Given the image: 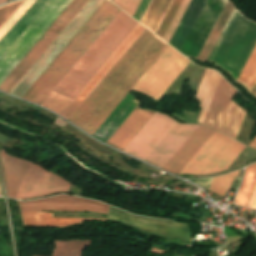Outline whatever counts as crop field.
<instances>
[{
    "label": "crop field",
    "instance_id": "dafd665d",
    "mask_svg": "<svg viewBox=\"0 0 256 256\" xmlns=\"http://www.w3.org/2000/svg\"><path fill=\"white\" fill-rule=\"evenodd\" d=\"M190 1L191 0H174L163 19L156 34L168 43L178 25L177 23L180 22Z\"/></svg>",
    "mask_w": 256,
    "mask_h": 256
},
{
    "label": "crop field",
    "instance_id": "4177f3b9",
    "mask_svg": "<svg viewBox=\"0 0 256 256\" xmlns=\"http://www.w3.org/2000/svg\"><path fill=\"white\" fill-rule=\"evenodd\" d=\"M233 7H234L233 4L228 0L222 13L219 16L214 28L212 29L206 43L204 44V46L198 56V59L206 61L212 47H213L214 43L216 42L223 26L225 25Z\"/></svg>",
    "mask_w": 256,
    "mask_h": 256
},
{
    "label": "crop field",
    "instance_id": "e1f06a70",
    "mask_svg": "<svg viewBox=\"0 0 256 256\" xmlns=\"http://www.w3.org/2000/svg\"><path fill=\"white\" fill-rule=\"evenodd\" d=\"M5 1H8V0H0V3H1V2H5Z\"/></svg>",
    "mask_w": 256,
    "mask_h": 256
},
{
    "label": "crop field",
    "instance_id": "0bd39190",
    "mask_svg": "<svg viewBox=\"0 0 256 256\" xmlns=\"http://www.w3.org/2000/svg\"><path fill=\"white\" fill-rule=\"evenodd\" d=\"M0 196H1V194H0Z\"/></svg>",
    "mask_w": 256,
    "mask_h": 256
},
{
    "label": "crop field",
    "instance_id": "92a150f3",
    "mask_svg": "<svg viewBox=\"0 0 256 256\" xmlns=\"http://www.w3.org/2000/svg\"><path fill=\"white\" fill-rule=\"evenodd\" d=\"M49 0H37L23 17L13 26V28L0 41V58L14 40L33 21V19L48 4Z\"/></svg>",
    "mask_w": 256,
    "mask_h": 256
},
{
    "label": "crop field",
    "instance_id": "733c2abd",
    "mask_svg": "<svg viewBox=\"0 0 256 256\" xmlns=\"http://www.w3.org/2000/svg\"><path fill=\"white\" fill-rule=\"evenodd\" d=\"M137 107L131 112V114L125 119L120 127L108 139L106 144L122 151L124 147L129 143V141L135 136V134L141 129V127L154 113L152 111L137 109Z\"/></svg>",
    "mask_w": 256,
    "mask_h": 256
},
{
    "label": "crop field",
    "instance_id": "730fd06b",
    "mask_svg": "<svg viewBox=\"0 0 256 256\" xmlns=\"http://www.w3.org/2000/svg\"><path fill=\"white\" fill-rule=\"evenodd\" d=\"M256 187V163L247 167L243 183L239 189L235 203L248 206Z\"/></svg>",
    "mask_w": 256,
    "mask_h": 256
},
{
    "label": "crop field",
    "instance_id": "28ad6ade",
    "mask_svg": "<svg viewBox=\"0 0 256 256\" xmlns=\"http://www.w3.org/2000/svg\"><path fill=\"white\" fill-rule=\"evenodd\" d=\"M108 221L120 223L142 234L162 238L180 239L191 243V232L186 223L169 222L132 216L110 207Z\"/></svg>",
    "mask_w": 256,
    "mask_h": 256
},
{
    "label": "crop field",
    "instance_id": "d1516ede",
    "mask_svg": "<svg viewBox=\"0 0 256 256\" xmlns=\"http://www.w3.org/2000/svg\"><path fill=\"white\" fill-rule=\"evenodd\" d=\"M177 122L155 112L123 152L146 160Z\"/></svg>",
    "mask_w": 256,
    "mask_h": 256
},
{
    "label": "crop field",
    "instance_id": "a9b5d70f",
    "mask_svg": "<svg viewBox=\"0 0 256 256\" xmlns=\"http://www.w3.org/2000/svg\"><path fill=\"white\" fill-rule=\"evenodd\" d=\"M172 1L152 0L140 23L156 33Z\"/></svg>",
    "mask_w": 256,
    "mask_h": 256
},
{
    "label": "crop field",
    "instance_id": "5142ce71",
    "mask_svg": "<svg viewBox=\"0 0 256 256\" xmlns=\"http://www.w3.org/2000/svg\"><path fill=\"white\" fill-rule=\"evenodd\" d=\"M198 126L197 124L177 123L146 162L162 169Z\"/></svg>",
    "mask_w": 256,
    "mask_h": 256
},
{
    "label": "crop field",
    "instance_id": "1d83c4d3",
    "mask_svg": "<svg viewBox=\"0 0 256 256\" xmlns=\"http://www.w3.org/2000/svg\"><path fill=\"white\" fill-rule=\"evenodd\" d=\"M112 2L133 17L141 0H114Z\"/></svg>",
    "mask_w": 256,
    "mask_h": 256
},
{
    "label": "crop field",
    "instance_id": "ac0d7876",
    "mask_svg": "<svg viewBox=\"0 0 256 256\" xmlns=\"http://www.w3.org/2000/svg\"><path fill=\"white\" fill-rule=\"evenodd\" d=\"M138 23L121 10L53 92L74 99ZM51 92L41 106L62 114L72 99Z\"/></svg>",
    "mask_w": 256,
    "mask_h": 256
},
{
    "label": "crop field",
    "instance_id": "214f88e0",
    "mask_svg": "<svg viewBox=\"0 0 256 256\" xmlns=\"http://www.w3.org/2000/svg\"><path fill=\"white\" fill-rule=\"evenodd\" d=\"M25 226L32 227H63L83 222L84 219L101 220L102 218H53L49 212H22Z\"/></svg>",
    "mask_w": 256,
    "mask_h": 256
},
{
    "label": "crop field",
    "instance_id": "5a996713",
    "mask_svg": "<svg viewBox=\"0 0 256 256\" xmlns=\"http://www.w3.org/2000/svg\"><path fill=\"white\" fill-rule=\"evenodd\" d=\"M228 84L220 77L203 124L235 139L246 111L231 101L236 90Z\"/></svg>",
    "mask_w": 256,
    "mask_h": 256
},
{
    "label": "crop field",
    "instance_id": "bd1437ed",
    "mask_svg": "<svg viewBox=\"0 0 256 256\" xmlns=\"http://www.w3.org/2000/svg\"><path fill=\"white\" fill-rule=\"evenodd\" d=\"M25 0L9 3L3 7H0V27L5 23V21L18 9V7Z\"/></svg>",
    "mask_w": 256,
    "mask_h": 256
},
{
    "label": "crop field",
    "instance_id": "22f410ed",
    "mask_svg": "<svg viewBox=\"0 0 256 256\" xmlns=\"http://www.w3.org/2000/svg\"><path fill=\"white\" fill-rule=\"evenodd\" d=\"M22 211H93L108 212V205L69 195H59L29 202H19Z\"/></svg>",
    "mask_w": 256,
    "mask_h": 256
},
{
    "label": "crop field",
    "instance_id": "ae1a2a85",
    "mask_svg": "<svg viewBox=\"0 0 256 256\" xmlns=\"http://www.w3.org/2000/svg\"><path fill=\"white\" fill-rule=\"evenodd\" d=\"M255 80H256V47L254 51H252L237 81L240 82L242 85H244L250 92Z\"/></svg>",
    "mask_w": 256,
    "mask_h": 256
},
{
    "label": "crop field",
    "instance_id": "d3111659",
    "mask_svg": "<svg viewBox=\"0 0 256 256\" xmlns=\"http://www.w3.org/2000/svg\"><path fill=\"white\" fill-rule=\"evenodd\" d=\"M239 172L240 170H237L231 174H227L221 177H215L209 188V191H212L224 197L232 183V180L237 176Z\"/></svg>",
    "mask_w": 256,
    "mask_h": 256
},
{
    "label": "crop field",
    "instance_id": "d9b57169",
    "mask_svg": "<svg viewBox=\"0 0 256 256\" xmlns=\"http://www.w3.org/2000/svg\"><path fill=\"white\" fill-rule=\"evenodd\" d=\"M143 28L141 25H137L131 34L125 39L120 47L114 52V54L108 59L103 67L97 72L92 80L86 85L81 93L75 98V100L69 105V107L61 115L68 120V118L74 113V111L80 106L85 98L91 93V91L97 86V84L103 79V77L109 72L114 64L120 59L125 51L131 46V44L142 33Z\"/></svg>",
    "mask_w": 256,
    "mask_h": 256
},
{
    "label": "crop field",
    "instance_id": "120bbe31",
    "mask_svg": "<svg viewBox=\"0 0 256 256\" xmlns=\"http://www.w3.org/2000/svg\"><path fill=\"white\" fill-rule=\"evenodd\" d=\"M151 0H142L141 4L139 5L135 15L133 18H135L137 21L140 22L146 8L148 7Z\"/></svg>",
    "mask_w": 256,
    "mask_h": 256
},
{
    "label": "crop field",
    "instance_id": "d8731c3e",
    "mask_svg": "<svg viewBox=\"0 0 256 256\" xmlns=\"http://www.w3.org/2000/svg\"><path fill=\"white\" fill-rule=\"evenodd\" d=\"M102 1L103 0H88V2L82 7V9L59 34V36L53 41V43L47 48V50L24 75V77L12 89L10 94L16 95L20 98L23 96L28 88L34 83V81L40 76L45 68L51 63V61L57 56L62 48L74 36V34L91 16L96 8L102 3Z\"/></svg>",
    "mask_w": 256,
    "mask_h": 256
},
{
    "label": "crop field",
    "instance_id": "028f5c9d",
    "mask_svg": "<svg viewBox=\"0 0 256 256\" xmlns=\"http://www.w3.org/2000/svg\"><path fill=\"white\" fill-rule=\"evenodd\" d=\"M251 93H253L256 96V82L251 90Z\"/></svg>",
    "mask_w": 256,
    "mask_h": 256
},
{
    "label": "crop field",
    "instance_id": "412701ff",
    "mask_svg": "<svg viewBox=\"0 0 256 256\" xmlns=\"http://www.w3.org/2000/svg\"><path fill=\"white\" fill-rule=\"evenodd\" d=\"M119 10L108 0H104L22 99L40 105Z\"/></svg>",
    "mask_w": 256,
    "mask_h": 256
},
{
    "label": "crop field",
    "instance_id": "bc2a9ffb",
    "mask_svg": "<svg viewBox=\"0 0 256 256\" xmlns=\"http://www.w3.org/2000/svg\"><path fill=\"white\" fill-rule=\"evenodd\" d=\"M138 103L139 102L128 93L92 136L105 143L108 137L115 131V129L122 123Z\"/></svg>",
    "mask_w": 256,
    "mask_h": 256
},
{
    "label": "crop field",
    "instance_id": "eef30255",
    "mask_svg": "<svg viewBox=\"0 0 256 256\" xmlns=\"http://www.w3.org/2000/svg\"><path fill=\"white\" fill-rule=\"evenodd\" d=\"M91 240L55 241L52 256H81L82 251L89 247Z\"/></svg>",
    "mask_w": 256,
    "mask_h": 256
},
{
    "label": "crop field",
    "instance_id": "34b2d1b8",
    "mask_svg": "<svg viewBox=\"0 0 256 256\" xmlns=\"http://www.w3.org/2000/svg\"><path fill=\"white\" fill-rule=\"evenodd\" d=\"M214 131L200 125L163 170L179 173ZM246 146L215 132L180 174H204L228 169Z\"/></svg>",
    "mask_w": 256,
    "mask_h": 256
},
{
    "label": "crop field",
    "instance_id": "4a817a6b",
    "mask_svg": "<svg viewBox=\"0 0 256 256\" xmlns=\"http://www.w3.org/2000/svg\"><path fill=\"white\" fill-rule=\"evenodd\" d=\"M0 157L5 171L7 195L15 198L21 182L33 163L8 156L3 150L0 152Z\"/></svg>",
    "mask_w": 256,
    "mask_h": 256
},
{
    "label": "crop field",
    "instance_id": "cbeb9de0",
    "mask_svg": "<svg viewBox=\"0 0 256 256\" xmlns=\"http://www.w3.org/2000/svg\"><path fill=\"white\" fill-rule=\"evenodd\" d=\"M69 185L60 177L33 164L18 191L16 199L32 198L59 191L67 192Z\"/></svg>",
    "mask_w": 256,
    "mask_h": 256
},
{
    "label": "crop field",
    "instance_id": "f4fd0767",
    "mask_svg": "<svg viewBox=\"0 0 256 256\" xmlns=\"http://www.w3.org/2000/svg\"><path fill=\"white\" fill-rule=\"evenodd\" d=\"M226 1L227 0H208L207 2V0H192L170 41L180 49L206 2L207 4L185 41L182 49H178L172 43L169 44L184 55L197 58Z\"/></svg>",
    "mask_w": 256,
    "mask_h": 256
},
{
    "label": "crop field",
    "instance_id": "d32e631a",
    "mask_svg": "<svg viewBox=\"0 0 256 256\" xmlns=\"http://www.w3.org/2000/svg\"><path fill=\"white\" fill-rule=\"evenodd\" d=\"M248 146L256 150V136L253 138Z\"/></svg>",
    "mask_w": 256,
    "mask_h": 256
},
{
    "label": "crop field",
    "instance_id": "8a807250",
    "mask_svg": "<svg viewBox=\"0 0 256 256\" xmlns=\"http://www.w3.org/2000/svg\"><path fill=\"white\" fill-rule=\"evenodd\" d=\"M167 46L145 29L68 121L92 135ZM189 62L168 46L132 90L158 101Z\"/></svg>",
    "mask_w": 256,
    "mask_h": 256
},
{
    "label": "crop field",
    "instance_id": "5866460e",
    "mask_svg": "<svg viewBox=\"0 0 256 256\" xmlns=\"http://www.w3.org/2000/svg\"><path fill=\"white\" fill-rule=\"evenodd\" d=\"M250 207L256 208V191H255V194H254V197H253V200H252V203H251Z\"/></svg>",
    "mask_w": 256,
    "mask_h": 256
},
{
    "label": "crop field",
    "instance_id": "00972430",
    "mask_svg": "<svg viewBox=\"0 0 256 256\" xmlns=\"http://www.w3.org/2000/svg\"><path fill=\"white\" fill-rule=\"evenodd\" d=\"M219 77L220 75L218 72L209 69L205 70L199 89L195 96L196 99L201 102L199 107H201L202 110L198 120L200 123H203Z\"/></svg>",
    "mask_w": 256,
    "mask_h": 256
},
{
    "label": "crop field",
    "instance_id": "750c4746",
    "mask_svg": "<svg viewBox=\"0 0 256 256\" xmlns=\"http://www.w3.org/2000/svg\"><path fill=\"white\" fill-rule=\"evenodd\" d=\"M36 0H26L23 5L14 13V15L0 29V40L12 28V26L22 17V15L31 7Z\"/></svg>",
    "mask_w": 256,
    "mask_h": 256
},
{
    "label": "crop field",
    "instance_id": "dd49c442",
    "mask_svg": "<svg viewBox=\"0 0 256 256\" xmlns=\"http://www.w3.org/2000/svg\"><path fill=\"white\" fill-rule=\"evenodd\" d=\"M255 45L256 23L236 9L210 61L221 65L237 80Z\"/></svg>",
    "mask_w": 256,
    "mask_h": 256
},
{
    "label": "crop field",
    "instance_id": "3316defc",
    "mask_svg": "<svg viewBox=\"0 0 256 256\" xmlns=\"http://www.w3.org/2000/svg\"><path fill=\"white\" fill-rule=\"evenodd\" d=\"M86 1L87 0L71 1V3L65 8V10L59 15V17L42 35V37L36 42V44L30 49V51L18 63V65L12 70V72L6 77V79L0 84L1 91L7 93L11 91V89L17 84V82L34 64V62L40 57V55L46 50V48L51 44V42L69 23V21L75 16V14L86 3Z\"/></svg>",
    "mask_w": 256,
    "mask_h": 256
},
{
    "label": "crop field",
    "instance_id": "e52e79f7",
    "mask_svg": "<svg viewBox=\"0 0 256 256\" xmlns=\"http://www.w3.org/2000/svg\"><path fill=\"white\" fill-rule=\"evenodd\" d=\"M71 0H50L49 4L15 40L0 59V83L35 44Z\"/></svg>",
    "mask_w": 256,
    "mask_h": 256
}]
</instances>
